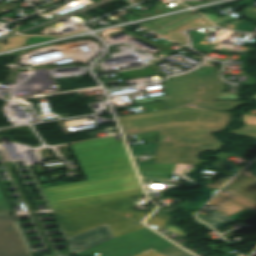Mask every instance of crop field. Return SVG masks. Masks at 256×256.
I'll list each match as a JSON object with an SVG mask.
<instances>
[{
    "label": "crop field",
    "mask_w": 256,
    "mask_h": 256,
    "mask_svg": "<svg viewBox=\"0 0 256 256\" xmlns=\"http://www.w3.org/2000/svg\"><path fill=\"white\" fill-rule=\"evenodd\" d=\"M216 100H240L236 94L222 93Z\"/></svg>",
    "instance_id": "4a817a6b"
},
{
    "label": "crop field",
    "mask_w": 256,
    "mask_h": 256,
    "mask_svg": "<svg viewBox=\"0 0 256 256\" xmlns=\"http://www.w3.org/2000/svg\"><path fill=\"white\" fill-rule=\"evenodd\" d=\"M73 148L89 181L43 188L54 210L144 195L123 143L110 137Z\"/></svg>",
    "instance_id": "8a807250"
},
{
    "label": "crop field",
    "mask_w": 256,
    "mask_h": 256,
    "mask_svg": "<svg viewBox=\"0 0 256 256\" xmlns=\"http://www.w3.org/2000/svg\"><path fill=\"white\" fill-rule=\"evenodd\" d=\"M230 134L256 140V125H245L240 129L230 132Z\"/></svg>",
    "instance_id": "cbeb9de0"
},
{
    "label": "crop field",
    "mask_w": 256,
    "mask_h": 256,
    "mask_svg": "<svg viewBox=\"0 0 256 256\" xmlns=\"http://www.w3.org/2000/svg\"><path fill=\"white\" fill-rule=\"evenodd\" d=\"M256 98V96H254Z\"/></svg>",
    "instance_id": "a9b5d70f"
},
{
    "label": "crop field",
    "mask_w": 256,
    "mask_h": 256,
    "mask_svg": "<svg viewBox=\"0 0 256 256\" xmlns=\"http://www.w3.org/2000/svg\"><path fill=\"white\" fill-rule=\"evenodd\" d=\"M244 12H246L251 18L256 19V9L249 8L245 9Z\"/></svg>",
    "instance_id": "dafd665d"
},
{
    "label": "crop field",
    "mask_w": 256,
    "mask_h": 256,
    "mask_svg": "<svg viewBox=\"0 0 256 256\" xmlns=\"http://www.w3.org/2000/svg\"><path fill=\"white\" fill-rule=\"evenodd\" d=\"M193 169H194V166L176 164L172 173L185 174V173H189V172L193 171Z\"/></svg>",
    "instance_id": "d9b57169"
},
{
    "label": "crop field",
    "mask_w": 256,
    "mask_h": 256,
    "mask_svg": "<svg viewBox=\"0 0 256 256\" xmlns=\"http://www.w3.org/2000/svg\"><path fill=\"white\" fill-rule=\"evenodd\" d=\"M160 102V101H159ZM155 103V102H154ZM148 104H151V103H148ZM143 105H145V104H143Z\"/></svg>",
    "instance_id": "00972430"
},
{
    "label": "crop field",
    "mask_w": 256,
    "mask_h": 256,
    "mask_svg": "<svg viewBox=\"0 0 256 256\" xmlns=\"http://www.w3.org/2000/svg\"><path fill=\"white\" fill-rule=\"evenodd\" d=\"M164 82L169 107L194 104L231 111L240 105H255L247 101H213L227 89L221 80L202 82L185 74L168 78Z\"/></svg>",
    "instance_id": "412701ff"
},
{
    "label": "crop field",
    "mask_w": 256,
    "mask_h": 256,
    "mask_svg": "<svg viewBox=\"0 0 256 256\" xmlns=\"http://www.w3.org/2000/svg\"><path fill=\"white\" fill-rule=\"evenodd\" d=\"M110 227L115 235V237H119L122 235H125L127 233H130L132 231H135L137 229L145 227L142 224L134 225V221L125 218L123 220L117 221L115 223L110 224Z\"/></svg>",
    "instance_id": "d1516ede"
},
{
    "label": "crop field",
    "mask_w": 256,
    "mask_h": 256,
    "mask_svg": "<svg viewBox=\"0 0 256 256\" xmlns=\"http://www.w3.org/2000/svg\"><path fill=\"white\" fill-rule=\"evenodd\" d=\"M194 13L195 15L185 19L184 17ZM195 12L190 11L182 14H177L157 20H153L147 23H140V25L178 43V44H187L184 35H182L179 31L198 27V26H213L205 19L197 18ZM203 22L204 24H200Z\"/></svg>",
    "instance_id": "e52e79f7"
},
{
    "label": "crop field",
    "mask_w": 256,
    "mask_h": 256,
    "mask_svg": "<svg viewBox=\"0 0 256 256\" xmlns=\"http://www.w3.org/2000/svg\"><path fill=\"white\" fill-rule=\"evenodd\" d=\"M123 75L124 80L127 79H133V78H139V77H144V76H150V75H156L153 71L147 69V68H141V69H136V70H131V71H126L121 73ZM120 78H114V79H109V80H115V79H120ZM109 80H103L104 81H109Z\"/></svg>",
    "instance_id": "22f410ed"
},
{
    "label": "crop field",
    "mask_w": 256,
    "mask_h": 256,
    "mask_svg": "<svg viewBox=\"0 0 256 256\" xmlns=\"http://www.w3.org/2000/svg\"><path fill=\"white\" fill-rule=\"evenodd\" d=\"M256 25L250 23L249 21L242 19L238 20L233 27L232 30L242 31V32H248L252 31Z\"/></svg>",
    "instance_id": "5142ce71"
},
{
    "label": "crop field",
    "mask_w": 256,
    "mask_h": 256,
    "mask_svg": "<svg viewBox=\"0 0 256 256\" xmlns=\"http://www.w3.org/2000/svg\"><path fill=\"white\" fill-rule=\"evenodd\" d=\"M132 199H124L55 211L68 238L86 230L110 223L130 214V218L142 221L148 212L134 210Z\"/></svg>",
    "instance_id": "34b2d1b8"
},
{
    "label": "crop field",
    "mask_w": 256,
    "mask_h": 256,
    "mask_svg": "<svg viewBox=\"0 0 256 256\" xmlns=\"http://www.w3.org/2000/svg\"><path fill=\"white\" fill-rule=\"evenodd\" d=\"M174 245L147 227L108 241L79 256H90L98 253L100 256H135L149 248L157 251Z\"/></svg>",
    "instance_id": "f4fd0767"
},
{
    "label": "crop field",
    "mask_w": 256,
    "mask_h": 256,
    "mask_svg": "<svg viewBox=\"0 0 256 256\" xmlns=\"http://www.w3.org/2000/svg\"><path fill=\"white\" fill-rule=\"evenodd\" d=\"M204 151H208V150L182 145L176 163H183V164H190V165H194L196 163H208L210 161H202L197 159L198 155Z\"/></svg>",
    "instance_id": "3316defc"
},
{
    "label": "crop field",
    "mask_w": 256,
    "mask_h": 256,
    "mask_svg": "<svg viewBox=\"0 0 256 256\" xmlns=\"http://www.w3.org/2000/svg\"><path fill=\"white\" fill-rule=\"evenodd\" d=\"M225 189L256 202V161Z\"/></svg>",
    "instance_id": "5a996713"
},
{
    "label": "crop field",
    "mask_w": 256,
    "mask_h": 256,
    "mask_svg": "<svg viewBox=\"0 0 256 256\" xmlns=\"http://www.w3.org/2000/svg\"><path fill=\"white\" fill-rule=\"evenodd\" d=\"M114 236L108 225H104L90 231L84 232L78 236L69 238L73 248H79L75 251L76 254L85 252L95 246H98Z\"/></svg>",
    "instance_id": "d8731c3e"
},
{
    "label": "crop field",
    "mask_w": 256,
    "mask_h": 256,
    "mask_svg": "<svg viewBox=\"0 0 256 256\" xmlns=\"http://www.w3.org/2000/svg\"><path fill=\"white\" fill-rule=\"evenodd\" d=\"M232 114L195 106L119 118L126 135L160 130L155 164L175 163L181 144L217 150L223 147L211 133L223 131Z\"/></svg>",
    "instance_id": "ac0d7876"
},
{
    "label": "crop field",
    "mask_w": 256,
    "mask_h": 256,
    "mask_svg": "<svg viewBox=\"0 0 256 256\" xmlns=\"http://www.w3.org/2000/svg\"><path fill=\"white\" fill-rule=\"evenodd\" d=\"M245 124H256V116L244 115Z\"/></svg>",
    "instance_id": "92a150f3"
},
{
    "label": "crop field",
    "mask_w": 256,
    "mask_h": 256,
    "mask_svg": "<svg viewBox=\"0 0 256 256\" xmlns=\"http://www.w3.org/2000/svg\"><path fill=\"white\" fill-rule=\"evenodd\" d=\"M137 256H166V255H164V254H162L160 252H157V251H155L153 249H150V250H148V251H146L144 253H141V254H139Z\"/></svg>",
    "instance_id": "214f88e0"
},
{
    "label": "crop field",
    "mask_w": 256,
    "mask_h": 256,
    "mask_svg": "<svg viewBox=\"0 0 256 256\" xmlns=\"http://www.w3.org/2000/svg\"><path fill=\"white\" fill-rule=\"evenodd\" d=\"M190 75L202 80V81H208V80H216V79H220L219 78V72L218 73H214V74H210V75H206V76H202V77H199L193 73H189Z\"/></svg>",
    "instance_id": "733c2abd"
},
{
    "label": "crop field",
    "mask_w": 256,
    "mask_h": 256,
    "mask_svg": "<svg viewBox=\"0 0 256 256\" xmlns=\"http://www.w3.org/2000/svg\"><path fill=\"white\" fill-rule=\"evenodd\" d=\"M166 99L165 96L134 101L135 105Z\"/></svg>",
    "instance_id": "bc2a9ffb"
},
{
    "label": "crop field",
    "mask_w": 256,
    "mask_h": 256,
    "mask_svg": "<svg viewBox=\"0 0 256 256\" xmlns=\"http://www.w3.org/2000/svg\"><path fill=\"white\" fill-rule=\"evenodd\" d=\"M146 222H148V224H154V225L160 227L159 229H157L158 231H160L164 228H167V229L185 237V234L182 229L171 225L172 216L155 214L150 219L146 220Z\"/></svg>",
    "instance_id": "28ad6ade"
},
{
    "label": "crop field",
    "mask_w": 256,
    "mask_h": 256,
    "mask_svg": "<svg viewBox=\"0 0 256 256\" xmlns=\"http://www.w3.org/2000/svg\"><path fill=\"white\" fill-rule=\"evenodd\" d=\"M11 213L12 209L0 190V256H31Z\"/></svg>",
    "instance_id": "dd49c442"
}]
</instances>
